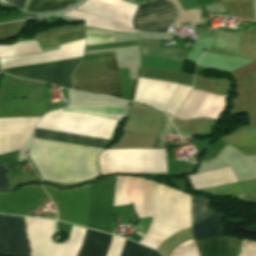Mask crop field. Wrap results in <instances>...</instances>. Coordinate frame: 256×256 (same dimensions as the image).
I'll list each match as a JSON object with an SVG mask.
<instances>
[{
  "label": "crop field",
  "mask_w": 256,
  "mask_h": 256,
  "mask_svg": "<svg viewBox=\"0 0 256 256\" xmlns=\"http://www.w3.org/2000/svg\"><path fill=\"white\" fill-rule=\"evenodd\" d=\"M220 140L234 146L245 155L256 154V128L240 126L236 131L220 137Z\"/></svg>",
  "instance_id": "15"
},
{
  "label": "crop field",
  "mask_w": 256,
  "mask_h": 256,
  "mask_svg": "<svg viewBox=\"0 0 256 256\" xmlns=\"http://www.w3.org/2000/svg\"><path fill=\"white\" fill-rule=\"evenodd\" d=\"M48 198L41 186L24 188L14 193H0V213L30 215L29 209Z\"/></svg>",
  "instance_id": "9"
},
{
  "label": "crop field",
  "mask_w": 256,
  "mask_h": 256,
  "mask_svg": "<svg viewBox=\"0 0 256 256\" xmlns=\"http://www.w3.org/2000/svg\"><path fill=\"white\" fill-rule=\"evenodd\" d=\"M238 41L239 33L217 30L213 46L207 53L236 57Z\"/></svg>",
  "instance_id": "19"
},
{
  "label": "crop field",
  "mask_w": 256,
  "mask_h": 256,
  "mask_svg": "<svg viewBox=\"0 0 256 256\" xmlns=\"http://www.w3.org/2000/svg\"><path fill=\"white\" fill-rule=\"evenodd\" d=\"M226 1H234V0H222V2H226Z\"/></svg>",
  "instance_id": "35"
},
{
  "label": "crop field",
  "mask_w": 256,
  "mask_h": 256,
  "mask_svg": "<svg viewBox=\"0 0 256 256\" xmlns=\"http://www.w3.org/2000/svg\"><path fill=\"white\" fill-rule=\"evenodd\" d=\"M142 56L172 58L184 61L188 52L178 49L141 47Z\"/></svg>",
  "instance_id": "24"
},
{
  "label": "crop field",
  "mask_w": 256,
  "mask_h": 256,
  "mask_svg": "<svg viewBox=\"0 0 256 256\" xmlns=\"http://www.w3.org/2000/svg\"><path fill=\"white\" fill-rule=\"evenodd\" d=\"M80 0H30L26 9L51 12L58 11L76 4Z\"/></svg>",
  "instance_id": "21"
},
{
  "label": "crop field",
  "mask_w": 256,
  "mask_h": 256,
  "mask_svg": "<svg viewBox=\"0 0 256 256\" xmlns=\"http://www.w3.org/2000/svg\"><path fill=\"white\" fill-rule=\"evenodd\" d=\"M31 256H77L85 229L72 227L67 245L51 243L54 221L25 217Z\"/></svg>",
  "instance_id": "2"
},
{
  "label": "crop field",
  "mask_w": 256,
  "mask_h": 256,
  "mask_svg": "<svg viewBox=\"0 0 256 256\" xmlns=\"http://www.w3.org/2000/svg\"><path fill=\"white\" fill-rule=\"evenodd\" d=\"M114 181L115 176L92 185L87 228L108 233Z\"/></svg>",
  "instance_id": "4"
},
{
  "label": "crop field",
  "mask_w": 256,
  "mask_h": 256,
  "mask_svg": "<svg viewBox=\"0 0 256 256\" xmlns=\"http://www.w3.org/2000/svg\"><path fill=\"white\" fill-rule=\"evenodd\" d=\"M112 237L109 234L87 229L78 256H106ZM120 256H160V254L125 240Z\"/></svg>",
  "instance_id": "7"
},
{
  "label": "crop field",
  "mask_w": 256,
  "mask_h": 256,
  "mask_svg": "<svg viewBox=\"0 0 256 256\" xmlns=\"http://www.w3.org/2000/svg\"><path fill=\"white\" fill-rule=\"evenodd\" d=\"M107 71L104 59L81 62L73 75Z\"/></svg>",
  "instance_id": "26"
},
{
  "label": "crop field",
  "mask_w": 256,
  "mask_h": 256,
  "mask_svg": "<svg viewBox=\"0 0 256 256\" xmlns=\"http://www.w3.org/2000/svg\"><path fill=\"white\" fill-rule=\"evenodd\" d=\"M78 64L79 62L45 67L40 69L12 72L7 74L45 81L57 86H62L70 89L72 88L71 74Z\"/></svg>",
  "instance_id": "12"
},
{
  "label": "crop field",
  "mask_w": 256,
  "mask_h": 256,
  "mask_svg": "<svg viewBox=\"0 0 256 256\" xmlns=\"http://www.w3.org/2000/svg\"><path fill=\"white\" fill-rule=\"evenodd\" d=\"M176 13L175 7L165 0L148 3L137 8L133 26L142 31L166 32Z\"/></svg>",
  "instance_id": "6"
},
{
  "label": "crop field",
  "mask_w": 256,
  "mask_h": 256,
  "mask_svg": "<svg viewBox=\"0 0 256 256\" xmlns=\"http://www.w3.org/2000/svg\"><path fill=\"white\" fill-rule=\"evenodd\" d=\"M61 50L0 59L2 69L45 63L83 55L84 39L59 46Z\"/></svg>",
  "instance_id": "10"
},
{
  "label": "crop field",
  "mask_w": 256,
  "mask_h": 256,
  "mask_svg": "<svg viewBox=\"0 0 256 256\" xmlns=\"http://www.w3.org/2000/svg\"><path fill=\"white\" fill-rule=\"evenodd\" d=\"M115 42V32L86 27V45Z\"/></svg>",
  "instance_id": "25"
},
{
  "label": "crop field",
  "mask_w": 256,
  "mask_h": 256,
  "mask_svg": "<svg viewBox=\"0 0 256 256\" xmlns=\"http://www.w3.org/2000/svg\"><path fill=\"white\" fill-rule=\"evenodd\" d=\"M0 2L25 9L28 0H0Z\"/></svg>",
  "instance_id": "31"
},
{
  "label": "crop field",
  "mask_w": 256,
  "mask_h": 256,
  "mask_svg": "<svg viewBox=\"0 0 256 256\" xmlns=\"http://www.w3.org/2000/svg\"><path fill=\"white\" fill-rule=\"evenodd\" d=\"M110 57H115L114 52L87 54V55H84L83 61L101 59V58H110Z\"/></svg>",
  "instance_id": "30"
},
{
  "label": "crop field",
  "mask_w": 256,
  "mask_h": 256,
  "mask_svg": "<svg viewBox=\"0 0 256 256\" xmlns=\"http://www.w3.org/2000/svg\"><path fill=\"white\" fill-rule=\"evenodd\" d=\"M81 58L82 57L75 58V59H69V60H63V61H57V62H51V63H45V64H38V65H32V66H25V67H18V68H12V69H5V70H2V73H4V72H11V71H18V70H24V69L40 68V67L57 65V64H63V63H69V62H76V61H80Z\"/></svg>",
  "instance_id": "28"
},
{
  "label": "crop field",
  "mask_w": 256,
  "mask_h": 256,
  "mask_svg": "<svg viewBox=\"0 0 256 256\" xmlns=\"http://www.w3.org/2000/svg\"><path fill=\"white\" fill-rule=\"evenodd\" d=\"M122 83V94L123 99L128 100L130 92L129 76L127 68L119 69Z\"/></svg>",
  "instance_id": "29"
},
{
  "label": "crop field",
  "mask_w": 256,
  "mask_h": 256,
  "mask_svg": "<svg viewBox=\"0 0 256 256\" xmlns=\"http://www.w3.org/2000/svg\"><path fill=\"white\" fill-rule=\"evenodd\" d=\"M193 1L197 8L221 3V0H193Z\"/></svg>",
  "instance_id": "32"
},
{
  "label": "crop field",
  "mask_w": 256,
  "mask_h": 256,
  "mask_svg": "<svg viewBox=\"0 0 256 256\" xmlns=\"http://www.w3.org/2000/svg\"><path fill=\"white\" fill-rule=\"evenodd\" d=\"M76 18L83 19L85 25L88 27L99 28V29H109L113 31H121V32H135L121 24H118L112 20H106L104 18L95 17L92 15L82 14L76 11L64 14Z\"/></svg>",
  "instance_id": "20"
},
{
  "label": "crop field",
  "mask_w": 256,
  "mask_h": 256,
  "mask_svg": "<svg viewBox=\"0 0 256 256\" xmlns=\"http://www.w3.org/2000/svg\"><path fill=\"white\" fill-rule=\"evenodd\" d=\"M136 81H137V79H130L131 92H130V98H129V100H132V98H133V94H134L135 86H136Z\"/></svg>",
  "instance_id": "34"
},
{
  "label": "crop field",
  "mask_w": 256,
  "mask_h": 256,
  "mask_svg": "<svg viewBox=\"0 0 256 256\" xmlns=\"http://www.w3.org/2000/svg\"><path fill=\"white\" fill-rule=\"evenodd\" d=\"M6 188H7L6 176H5L4 166L2 164L0 165V189H6Z\"/></svg>",
  "instance_id": "33"
},
{
  "label": "crop field",
  "mask_w": 256,
  "mask_h": 256,
  "mask_svg": "<svg viewBox=\"0 0 256 256\" xmlns=\"http://www.w3.org/2000/svg\"><path fill=\"white\" fill-rule=\"evenodd\" d=\"M210 194H235L242 200L256 201V179L201 189Z\"/></svg>",
  "instance_id": "16"
},
{
  "label": "crop field",
  "mask_w": 256,
  "mask_h": 256,
  "mask_svg": "<svg viewBox=\"0 0 256 256\" xmlns=\"http://www.w3.org/2000/svg\"><path fill=\"white\" fill-rule=\"evenodd\" d=\"M196 244L201 256H233L237 241L234 238H211Z\"/></svg>",
  "instance_id": "17"
},
{
  "label": "crop field",
  "mask_w": 256,
  "mask_h": 256,
  "mask_svg": "<svg viewBox=\"0 0 256 256\" xmlns=\"http://www.w3.org/2000/svg\"><path fill=\"white\" fill-rule=\"evenodd\" d=\"M34 138L104 148L105 139L35 128Z\"/></svg>",
  "instance_id": "14"
},
{
  "label": "crop field",
  "mask_w": 256,
  "mask_h": 256,
  "mask_svg": "<svg viewBox=\"0 0 256 256\" xmlns=\"http://www.w3.org/2000/svg\"><path fill=\"white\" fill-rule=\"evenodd\" d=\"M192 197V218L193 224L212 215L211 200L204 196Z\"/></svg>",
  "instance_id": "23"
},
{
  "label": "crop field",
  "mask_w": 256,
  "mask_h": 256,
  "mask_svg": "<svg viewBox=\"0 0 256 256\" xmlns=\"http://www.w3.org/2000/svg\"><path fill=\"white\" fill-rule=\"evenodd\" d=\"M100 150L34 139L29 156L43 179L73 184L99 177L96 156Z\"/></svg>",
  "instance_id": "1"
},
{
  "label": "crop field",
  "mask_w": 256,
  "mask_h": 256,
  "mask_svg": "<svg viewBox=\"0 0 256 256\" xmlns=\"http://www.w3.org/2000/svg\"><path fill=\"white\" fill-rule=\"evenodd\" d=\"M238 256H256V242L243 240Z\"/></svg>",
  "instance_id": "27"
},
{
  "label": "crop field",
  "mask_w": 256,
  "mask_h": 256,
  "mask_svg": "<svg viewBox=\"0 0 256 256\" xmlns=\"http://www.w3.org/2000/svg\"><path fill=\"white\" fill-rule=\"evenodd\" d=\"M43 187L58 209V220L86 227L91 185L64 192Z\"/></svg>",
  "instance_id": "3"
},
{
  "label": "crop field",
  "mask_w": 256,
  "mask_h": 256,
  "mask_svg": "<svg viewBox=\"0 0 256 256\" xmlns=\"http://www.w3.org/2000/svg\"><path fill=\"white\" fill-rule=\"evenodd\" d=\"M32 53L41 52L36 41H27ZM26 41L15 43L8 46H0V57H10L31 54Z\"/></svg>",
  "instance_id": "22"
},
{
  "label": "crop field",
  "mask_w": 256,
  "mask_h": 256,
  "mask_svg": "<svg viewBox=\"0 0 256 256\" xmlns=\"http://www.w3.org/2000/svg\"><path fill=\"white\" fill-rule=\"evenodd\" d=\"M0 253L29 256L22 217L0 214Z\"/></svg>",
  "instance_id": "8"
},
{
  "label": "crop field",
  "mask_w": 256,
  "mask_h": 256,
  "mask_svg": "<svg viewBox=\"0 0 256 256\" xmlns=\"http://www.w3.org/2000/svg\"><path fill=\"white\" fill-rule=\"evenodd\" d=\"M213 215L193 225V238L195 241L205 238L223 236L222 214L212 210Z\"/></svg>",
  "instance_id": "18"
},
{
  "label": "crop field",
  "mask_w": 256,
  "mask_h": 256,
  "mask_svg": "<svg viewBox=\"0 0 256 256\" xmlns=\"http://www.w3.org/2000/svg\"><path fill=\"white\" fill-rule=\"evenodd\" d=\"M137 6L120 0H87L76 10L104 16L130 27L132 26V17Z\"/></svg>",
  "instance_id": "11"
},
{
  "label": "crop field",
  "mask_w": 256,
  "mask_h": 256,
  "mask_svg": "<svg viewBox=\"0 0 256 256\" xmlns=\"http://www.w3.org/2000/svg\"><path fill=\"white\" fill-rule=\"evenodd\" d=\"M105 60L108 72L72 76L73 89L89 93L106 94L122 99L116 59Z\"/></svg>",
  "instance_id": "5"
},
{
  "label": "crop field",
  "mask_w": 256,
  "mask_h": 256,
  "mask_svg": "<svg viewBox=\"0 0 256 256\" xmlns=\"http://www.w3.org/2000/svg\"><path fill=\"white\" fill-rule=\"evenodd\" d=\"M45 112V100H0V117L42 116Z\"/></svg>",
  "instance_id": "13"
}]
</instances>
